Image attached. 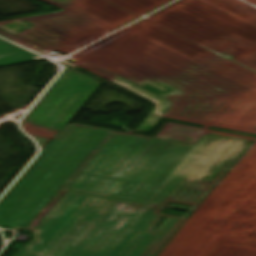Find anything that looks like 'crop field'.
I'll return each instance as SVG.
<instances>
[{"label": "crop field", "instance_id": "obj_1", "mask_svg": "<svg viewBox=\"0 0 256 256\" xmlns=\"http://www.w3.org/2000/svg\"><path fill=\"white\" fill-rule=\"evenodd\" d=\"M155 138L74 126L53 140L0 203V226L34 232L14 256H155L185 220L164 207L200 203L255 139L170 123Z\"/></svg>", "mask_w": 256, "mask_h": 256}, {"label": "crop field", "instance_id": "obj_2", "mask_svg": "<svg viewBox=\"0 0 256 256\" xmlns=\"http://www.w3.org/2000/svg\"><path fill=\"white\" fill-rule=\"evenodd\" d=\"M99 83L82 73L68 69L22 123L37 125L58 134Z\"/></svg>", "mask_w": 256, "mask_h": 256}, {"label": "crop field", "instance_id": "obj_3", "mask_svg": "<svg viewBox=\"0 0 256 256\" xmlns=\"http://www.w3.org/2000/svg\"><path fill=\"white\" fill-rule=\"evenodd\" d=\"M17 52H20V53L16 55L7 56V54H13ZM21 55H26V56L22 57ZM35 57L0 41V66L19 63V62H25L30 60H36Z\"/></svg>", "mask_w": 256, "mask_h": 256}, {"label": "crop field", "instance_id": "obj_4", "mask_svg": "<svg viewBox=\"0 0 256 256\" xmlns=\"http://www.w3.org/2000/svg\"><path fill=\"white\" fill-rule=\"evenodd\" d=\"M22 127L26 132H28L31 135V137L40 136V137L52 139L56 135L40 127H36L28 124H22Z\"/></svg>", "mask_w": 256, "mask_h": 256}]
</instances>
